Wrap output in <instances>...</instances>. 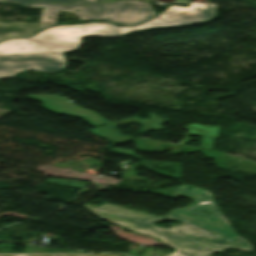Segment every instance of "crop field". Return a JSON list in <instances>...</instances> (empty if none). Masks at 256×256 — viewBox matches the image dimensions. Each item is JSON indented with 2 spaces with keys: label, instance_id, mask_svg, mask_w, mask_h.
I'll return each mask as SVG.
<instances>
[{
  "label": "crop field",
  "instance_id": "obj_4",
  "mask_svg": "<svg viewBox=\"0 0 256 256\" xmlns=\"http://www.w3.org/2000/svg\"><path fill=\"white\" fill-rule=\"evenodd\" d=\"M28 98L42 101L44 104L41 106L47 108L54 113L80 117L88 121L94 127L110 123L95 112L82 109L72 104L67 97H60L55 95H30L28 96Z\"/></svg>",
  "mask_w": 256,
  "mask_h": 256
},
{
  "label": "crop field",
  "instance_id": "obj_6",
  "mask_svg": "<svg viewBox=\"0 0 256 256\" xmlns=\"http://www.w3.org/2000/svg\"><path fill=\"white\" fill-rule=\"evenodd\" d=\"M40 24H25V23H0V41L3 39H11L16 37H29L37 33L41 29Z\"/></svg>",
  "mask_w": 256,
  "mask_h": 256
},
{
  "label": "crop field",
  "instance_id": "obj_7",
  "mask_svg": "<svg viewBox=\"0 0 256 256\" xmlns=\"http://www.w3.org/2000/svg\"><path fill=\"white\" fill-rule=\"evenodd\" d=\"M192 127L195 129H191ZM185 129L188 130L189 133L185 134V140L183 139L184 141L180 142L178 145H185L188 143L190 141L188 138L189 135H198L202 136L201 148L210 150L212 140L217 138L218 127H202L200 125L193 124L186 126Z\"/></svg>",
  "mask_w": 256,
  "mask_h": 256
},
{
  "label": "crop field",
  "instance_id": "obj_5",
  "mask_svg": "<svg viewBox=\"0 0 256 256\" xmlns=\"http://www.w3.org/2000/svg\"><path fill=\"white\" fill-rule=\"evenodd\" d=\"M149 116H150V120H148V119L141 120L137 117H132V118L114 122L113 124H109V125H106V126L94 129V130H90V132L97 136L104 137L105 139H108L114 143H120V142L129 140L131 138H129V137L123 135L121 132H119L116 129V125L130 123V122H139L143 126V129L140 130L139 132H143L145 130L158 131V130L164 128L160 124L162 122L166 121L167 119L157 118L154 113L149 114Z\"/></svg>",
  "mask_w": 256,
  "mask_h": 256
},
{
  "label": "crop field",
  "instance_id": "obj_3",
  "mask_svg": "<svg viewBox=\"0 0 256 256\" xmlns=\"http://www.w3.org/2000/svg\"><path fill=\"white\" fill-rule=\"evenodd\" d=\"M11 1L30 7H46L42 12L41 25H55L58 11L73 12L81 20L103 19L110 22L133 25L155 16L151 4L123 0L104 4L88 0H0ZM128 2V6H126ZM82 7H85L84 9ZM75 10H81L75 12ZM51 19H48V17ZM45 23H48L47 25Z\"/></svg>",
  "mask_w": 256,
  "mask_h": 256
},
{
  "label": "crop field",
  "instance_id": "obj_1",
  "mask_svg": "<svg viewBox=\"0 0 256 256\" xmlns=\"http://www.w3.org/2000/svg\"><path fill=\"white\" fill-rule=\"evenodd\" d=\"M173 192L197 200L188 208L173 210L166 217H156L120 206L105 203L98 208L84 205L101 219L117 224L125 229L149 235L160 242L176 249L175 253L166 256H212L226 248H237L246 252L252 251L249 243L240 239L227 224L224 217L214 206L211 193L191 186H181ZM197 212H194V211ZM211 212V216L200 211ZM178 219L182 225L171 229L154 227L153 221ZM185 222L192 223L191 225ZM181 231V233H177ZM199 231H202L199 233ZM195 234H198L197 236ZM213 236H216L214 238Z\"/></svg>",
  "mask_w": 256,
  "mask_h": 256
},
{
  "label": "crop field",
  "instance_id": "obj_8",
  "mask_svg": "<svg viewBox=\"0 0 256 256\" xmlns=\"http://www.w3.org/2000/svg\"><path fill=\"white\" fill-rule=\"evenodd\" d=\"M118 256V255H110V254H100V255H90V254H52V255H0V256Z\"/></svg>",
  "mask_w": 256,
  "mask_h": 256
},
{
  "label": "crop field",
  "instance_id": "obj_2",
  "mask_svg": "<svg viewBox=\"0 0 256 256\" xmlns=\"http://www.w3.org/2000/svg\"><path fill=\"white\" fill-rule=\"evenodd\" d=\"M215 9V4L191 3L189 8L172 5L154 19L134 27H117L109 23L55 26L30 39L5 41L0 44V78H9L28 69L49 72L64 69V51L78 49L82 36L119 37L150 27L203 22L214 17ZM54 52L57 54H50Z\"/></svg>",
  "mask_w": 256,
  "mask_h": 256
}]
</instances>
